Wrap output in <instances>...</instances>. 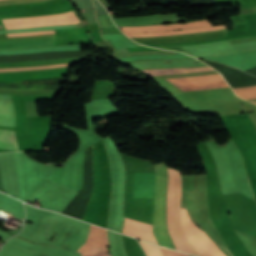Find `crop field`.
<instances>
[{"instance_id":"crop-field-1","label":"crop field","mask_w":256,"mask_h":256,"mask_svg":"<svg viewBox=\"0 0 256 256\" xmlns=\"http://www.w3.org/2000/svg\"><path fill=\"white\" fill-rule=\"evenodd\" d=\"M167 223L169 233L177 250L195 254L179 225L181 177L178 171L168 168Z\"/></svg>"},{"instance_id":"crop-field-2","label":"crop field","mask_w":256,"mask_h":256,"mask_svg":"<svg viewBox=\"0 0 256 256\" xmlns=\"http://www.w3.org/2000/svg\"><path fill=\"white\" fill-rule=\"evenodd\" d=\"M154 170L156 180L154 191L153 233L160 246L175 249L166 226L167 167H154Z\"/></svg>"},{"instance_id":"crop-field-3","label":"crop field","mask_w":256,"mask_h":256,"mask_svg":"<svg viewBox=\"0 0 256 256\" xmlns=\"http://www.w3.org/2000/svg\"><path fill=\"white\" fill-rule=\"evenodd\" d=\"M223 28H226V26L222 25V26H213V27H207V28L171 31V32H154V33L126 34V35L129 37L167 35V34H179V33L205 31V30L223 29ZM224 37H228L227 29L197 32V33H188V34H179V35L137 37V38H131V39H133L141 44H162V43L194 42V41L224 38Z\"/></svg>"},{"instance_id":"crop-field-4","label":"crop field","mask_w":256,"mask_h":256,"mask_svg":"<svg viewBox=\"0 0 256 256\" xmlns=\"http://www.w3.org/2000/svg\"><path fill=\"white\" fill-rule=\"evenodd\" d=\"M181 219V210H180ZM180 225L199 256H226L199 228L189 219L185 210H182Z\"/></svg>"},{"instance_id":"crop-field-5","label":"crop field","mask_w":256,"mask_h":256,"mask_svg":"<svg viewBox=\"0 0 256 256\" xmlns=\"http://www.w3.org/2000/svg\"><path fill=\"white\" fill-rule=\"evenodd\" d=\"M168 80L179 86L186 93L228 86L227 83L222 79L220 74L172 78Z\"/></svg>"},{"instance_id":"crop-field-6","label":"crop field","mask_w":256,"mask_h":256,"mask_svg":"<svg viewBox=\"0 0 256 256\" xmlns=\"http://www.w3.org/2000/svg\"><path fill=\"white\" fill-rule=\"evenodd\" d=\"M108 247L106 240V230L96 226H90L88 239L78 252L82 256H107L105 249Z\"/></svg>"},{"instance_id":"crop-field-7","label":"crop field","mask_w":256,"mask_h":256,"mask_svg":"<svg viewBox=\"0 0 256 256\" xmlns=\"http://www.w3.org/2000/svg\"><path fill=\"white\" fill-rule=\"evenodd\" d=\"M51 36H55V35H51ZM40 37H50V36L6 38V34H5V35H0V41L30 39V38H40ZM53 45H55V37L0 42V49L41 48V47H49Z\"/></svg>"},{"instance_id":"crop-field-8","label":"crop field","mask_w":256,"mask_h":256,"mask_svg":"<svg viewBox=\"0 0 256 256\" xmlns=\"http://www.w3.org/2000/svg\"><path fill=\"white\" fill-rule=\"evenodd\" d=\"M213 68L217 69L223 77L227 80L231 87L256 84V77L245 74L238 69L230 68L225 65L203 60Z\"/></svg>"},{"instance_id":"crop-field-9","label":"crop field","mask_w":256,"mask_h":256,"mask_svg":"<svg viewBox=\"0 0 256 256\" xmlns=\"http://www.w3.org/2000/svg\"><path fill=\"white\" fill-rule=\"evenodd\" d=\"M155 174L134 172V197H153Z\"/></svg>"},{"instance_id":"crop-field-10","label":"crop field","mask_w":256,"mask_h":256,"mask_svg":"<svg viewBox=\"0 0 256 256\" xmlns=\"http://www.w3.org/2000/svg\"><path fill=\"white\" fill-rule=\"evenodd\" d=\"M211 25L207 20L196 21V22H187L173 25H156L148 27H120L123 32L126 33H141V32H152V31H163L179 28H189V27H199V26H208Z\"/></svg>"},{"instance_id":"crop-field-11","label":"crop field","mask_w":256,"mask_h":256,"mask_svg":"<svg viewBox=\"0 0 256 256\" xmlns=\"http://www.w3.org/2000/svg\"><path fill=\"white\" fill-rule=\"evenodd\" d=\"M125 219L152 227L151 224H147V223H143V222L127 219V218H125ZM126 220H125L124 230L122 233L131 235L138 239L146 240V241L152 242L154 244H157L155 241V238L152 234L151 227H147V226L140 225L137 223L126 221Z\"/></svg>"},{"instance_id":"crop-field-12","label":"crop field","mask_w":256,"mask_h":256,"mask_svg":"<svg viewBox=\"0 0 256 256\" xmlns=\"http://www.w3.org/2000/svg\"><path fill=\"white\" fill-rule=\"evenodd\" d=\"M0 125L15 127V111L10 101H0Z\"/></svg>"},{"instance_id":"crop-field-13","label":"crop field","mask_w":256,"mask_h":256,"mask_svg":"<svg viewBox=\"0 0 256 256\" xmlns=\"http://www.w3.org/2000/svg\"><path fill=\"white\" fill-rule=\"evenodd\" d=\"M213 70L210 67L203 68H184V69H155L144 71L152 76L162 75V74H176V73H191V72H201Z\"/></svg>"},{"instance_id":"crop-field-14","label":"crop field","mask_w":256,"mask_h":256,"mask_svg":"<svg viewBox=\"0 0 256 256\" xmlns=\"http://www.w3.org/2000/svg\"><path fill=\"white\" fill-rule=\"evenodd\" d=\"M0 147L20 150L15 132L0 130Z\"/></svg>"},{"instance_id":"crop-field-15","label":"crop field","mask_w":256,"mask_h":256,"mask_svg":"<svg viewBox=\"0 0 256 256\" xmlns=\"http://www.w3.org/2000/svg\"><path fill=\"white\" fill-rule=\"evenodd\" d=\"M55 30L51 31H37V32H29V33H14V34H7L8 37H15V36H27V35H44V34H54Z\"/></svg>"},{"instance_id":"crop-field-16","label":"crop field","mask_w":256,"mask_h":256,"mask_svg":"<svg viewBox=\"0 0 256 256\" xmlns=\"http://www.w3.org/2000/svg\"><path fill=\"white\" fill-rule=\"evenodd\" d=\"M66 66L65 64L50 65V66H40V67H30V68H16V69H0V71H12V70H28V69H42V68H52Z\"/></svg>"},{"instance_id":"crop-field-17","label":"crop field","mask_w":256,"mask_h":256,"mask_svg":"<svg viewBox=\"0 0 256 256\" xmlns=\"http://www.w3.org/2000/svg\"><path fill=\"white\" fill-rule=\"evenodd\" d=\"M161 250L164 256H179V254L176 251L168 250L165 248H161Z\"/></svg>"},{"instance_id":"crop-field-18","label":"crop field","mask_w":256,"mask_h":256,"mask_svg":"<svg viewBox=\"0 0 256 256\" xmlns=\"http://www.w3.org/2000/svg\"><path fill=\"white\" fill-rule=\"evenodd\" d=\"M179 254H180V256H187V254H184V253L179 252ZM188 256H192V255H188Z\"/></svg>"},{"instance_id":"crop-field-19","label":"crop field","mask_w":256,"mask_h":256,"mask_svg":"<svg viewBox=\"0 0 256 256\" xmlns=\"http://www.w3.org/2000/svg\"><path fill=\"white\" fill-rule=\"evenodd\" d=\"M254 102V101H253ZM254 103H256V102H254Z\"/></svg>"}]
</instances>
